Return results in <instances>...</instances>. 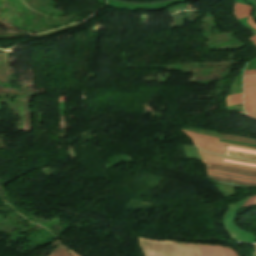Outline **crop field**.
<instances>
[{
	"label": "crop field",
	"instance_id": "obj_1",
	"mask_svg": "<svg viewBox=\"0 0 256 256\" xmlns=\"http://www.w3.org/2000/svg\"><path fill=\"white\" fill-rule=\"evenodd\" d=\"M174 242L177 256H238L234 250L205 244H192L183 242Z\"/></svg>",
	"mask_w": 256,
	"mask_h": 256
},
{
	"label": "crop field",
	"instance_id": "obj_2",
	"mask_svg": "<svg viewBox=\"0 0 256 256\" xmlns=\"http://www.w3.org/2000/svg\"><path fill=\"white\" fill-rule=\"evenodd\" d=\"M183 132L194 142L195 145H197L202 150L215 152L220 155L225 154L226 147L224 145L220 144L222 142L218 143V138L201 135V134H196V133H191V132H187V131H183ZM223 144L245 147V146L230 144V143H223ZM245 148H250V149L256 150V148H251V147H245Z\"/></svg>",
	"mask_w": 256,
	"mask_h": 256
},
{
	"label": "crop field",
	"instance_id": "obj_3",
	"mask_svg": "<svg viewBox=\"0 0 256 256\" xmlns=\"http://www.w3.org/2000/svg\"><path fill=\"white\" fill-rule=\"evenodd\" d=\"M244 108L256 119V75L244 76Z\"/></svg>",
	"mask_w": 256,
	"mask_h": 256
},
{
	"label": "crop field",
	"instance_id": "obj_4",
	"mask_svg": "<svg viewBox=\"0 0 256 256\" xmlns=\"http://www.w3.org/2000/svg\"><path fill=\"white\" fill-rule=\"evenodd\" d=\"M253 11L249 5L236 1L234 8V15L237 19L248 16L247 23H249L256 30V22L252 18L250 12Z\"/></svg>",
	"mask_w": 256,
	"mask_h": 256
},
{
	"label": "crop field",
	"instance_id": "obj_5",
	"mask_svg": "<svg viewBox=\"0 0 256 256\" xmlns=\"http://www.w3.org/2000/svg\"><path fill=\"white\" fill-rule=\"evenodd\" d=\"M199 153L201 155V158H202L203 162L220 163V164H225V165H231V166H237V167H242V168H246V169H254V170H256L255 167L242 166V165H236V164H231V163H227V162H222V160H223L222 157H218V156L213 155V154H208V153H205V152H203L201 150H199ZM226 159H229V158H226ZM230 160H235V161H241V162L256 164L254 162H248V161L238 160V159H230Z\"/></svg>",
	"mask_w": 256,
	"mask_h": 256
},
{
	"label": "crop field",
	"instance_id": "obj_6",
	"mask_svg": "<svg viewBox=\"0 0 256 256\" xmlns=\"http://www.w3.org/2000/svg\"><path fill=\"white\" fill-rule=\"evenodd\" d=\"M205 166H206V169H216V170L227 171L235 174L256 177V171H253V170H246L241 168L229 167L225 165L208 164V163H205Z\"/></svg>",
	"mask_w": 256,
	"mask_h": 256
},
{
	"label": "crop field",
	"instance_id": "obj_7",
	"mask_svg": "<svg viewBox=\"0 0 256 256\" xmlns=\"http://www.w3.org/2000/svg\"><path fill=\"white\" fill-rule=\"evenodd\" d=\"M49 256H71L69 249L63 245L57 247Z\"/></svg>",
	"mask_w": 256,
	"mask_h": 256
},
{
	"label": "crop field",
	"instance_id": "obj_8",
	"mask_svg": "<svg viewBox=\"0 0 256 256\" xmlns=\"http://www.w3.org/2000/svg\"><path fill=\"white\" fill-rule=\"evenodd\" d=\"M226 155L235 156V157H241V158H246V159H251V160H256V156L255 155L237 153V152H232V151H228V150L226 151Z\"/></svg>",
	"mask_w": 256,
	"mask_h": 256
},
{
	"label": "crop field",
	"instance_id": "obj_9",
	"mask_svg": "<svg viewBox=\"0 0 256 256\" xmlns=\"http://www.w3.org/2000/svg\"><path fill=\"white\" fill-rule=\"evenodd\" d=\"M234 98H237V99L228 101V100L234 99ZM240 103H242V94H233V95L228 96V98H227L228 106L234 105V104H240Z\"/></svg>",
	"mask_w": 256,
	"mask_h": 256
},
{
	"label": "crop field",
	"instance_id": "obj_10",
	"mask_svg": "<svg viewBox=\"0 0 256 256\" xmlns=\"http://www.w3.org/2000/svg\"><path fill=\"white\" fill-rule=\"evenodd\" d=\"M208 177L212 178V179H217V180L232 181V182H236V183H240V184H244V185H256V183L240 182V181L230 179V178H225V177H217V176H211V175H208Z\"/></svg>",
	"mask_w": 256,
	"mask_h": 256
},
{
	"label": "crop field",
	"instance_id": "obj_11",
	"mask_svg": "<svg viewBox=\"0 0 256 256\" xmlns=\"http://www.w3.org/2000/svg\"><path fill=\"white\" fill-rule=\"evenodd\" d=\"M227 149H229V150H234V151H239V152H245V153L256 154V151H255V150H248V149L239 148V147H231V146H228Z\"/></svg>",
	"mask_w": 256,
	"mask_h": 256
},
{
	"label": "crop field",
	"instance_id": "obj_12",
	"mask_svg": "<svg viewBox=\"0 0 256 256\" xmlns=\"http://www.w3.org/2000/svg\"><path fill=\"white\" fill-rule=\"evenodd\" d=\"M256 206V196L250 197L243 207Z\"/></svg>",
	"mask_w": 256,
	"mask_h": 256
},
{
	"label": "crop field",
	"instance_id": "obj_13",
	"mask_svg": "<svg viewBox=\"0 0 256 256\" xmlns=\"http://www.w3.org/2000/svg\"><path fill=\"white\" fill-rule=\"evenodd\" d=\"M219 141H222V142H230V143H237V142H231V141H226V140H221V139H219ZM237 144H242V145H247V146L256 147V145H250V144H244V143H237Z\"/></svg>",
	"mask_w": 256,
	"mask_h": 256
},
{
	"label": "crop field",
	"instance_id": "obj_14",
	"mask_svg": "<svg viewBox=\"0 0 256 256\" xmlns=\"http://www.w3.org/2000/svg\"><path fill=\"white\" fill-rule=\"evenodd\" d=\"M227 162H232V163H236V164H242V165H250V166H256V165H251V164H245V163H240V162H235V161H229V160H224Z\"/></svg>",
	"mask_w": 256,
	"mask_h": 256
},
{
	"label": "crop field",
	"instance_id": "obj_15",
	"mask_svg": "<svg viewBox=\"0 0 256 256\" xmlns=\"http://www.w3.org/2000/svg\"><path fill=\"white\" fill-rule=\"evenodd\" d=\"M248 74H256V70L246 71L245 75H248Z\"/></svg>",
	"mask_w": 256,
	"mask_h": 256
},
{
	"label": "crop field",
	"instance_id": "obj_16",
	"mask_svg": "<svg viewBox=\"0 0 256 256\" xmlns=\"http://www.w3.org/2000/svg\"><path fill=\"white\" fill-rule=\"evenodd\" d=\"M211 171H214V170H211ZM218 172H221V171H218ZM223 173H226V172H223ZM227 174H230V173H227ZM231 175H235V174H231ZM235 176H239V175H235ZM239 177L249 178V177H245V176H239ZM250 179H256V178H250Z\"/></svg>",
	"mask_w": 256,
	"mask_h": 256
},
{
	"label": "crop field",
	"instance_id": "obj_17",
	"mask_svg": "<svg viewBox=\"0 0 256 256\" xmlns=\"http://www.w3.org/2000/svg\"><path fill=\"white\" fill-rule=\"evenodd\" d=\"M249 39L256 45V35L251 37V38H249Z\"/></svg>",
	"mask_w": 256,
	"mask_h": 256
},
{
	"label": "crop field",
	"instance_id": "obj_18",
	"mask_svg": "<svg viewBox=\"0 0 256 256\" xmlns=\"http://www.w3.org/2000/svg\"><path fill=\"white\" fill-rule=\"evenodd\" d=\"M207 174H210V173H207ZM211 175H217V174H211ZM219 176H222V175H219ZM225 177H228V176H225ZM230 178H233V177H230ZM234 179H237V178H234ZM237 180H241V179H237ZM242 181H245V180H242ZM251 182H256V181H251Z\"/></svg>",
	"mask_w": 256,
	"mask_h": 256
},
{
	"label": "crop field",
	"instance_id": "obj_19",
	"mask_svg": "<svg viewBox=\"0 0 256 256\" xmlns=\"http://www.w3.org/2000/svg\"><path fill=\"white\" fill-rule=\"evenodd\" d=\"M71 255H72V256H78V255H76L75 253H73L72 251H71Z\"/></svg>",
	"mask_w": 256,
	"mask_h": 256
}]
</instances>
